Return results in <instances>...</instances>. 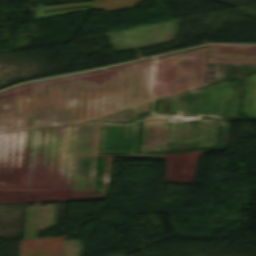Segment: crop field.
Wrapping results in <instances>:
<instances>
[{
  "instance_id": "1",
  "label": "crop field",
  "mask_w": 256,
  "mask_h": 256,
  "mask_svg": "<svg viewBox=\"0 0 256 256\" xmlns=\"http://www.w3.org/2000/svg\"><path fill=\"white\" fill-rule=\"evenodd\" d=\"M214 58H256V46L209 45L9 90L0 94V132L80 122L203 86L206 63L256 64Z\"/></svg>"
},
{
  "instance_id": "2",
  "label": "crop field",
  "mask_w": 256,
  "mask_h": 256,
  "mask_svg": "<svg viewBox=\"0 0 256 256\" xmlns=\"http://www.w3.org/2000/svg\"><path fill=\"white\" fill-rule=\"evenodd\" d=\"M55 205L40 206L38 231L54 225ZM22 240L20 256H63L64 238H43Z\"/></svg>"
},
{
  "instance_id": "3",
  "label": "crop field",
  "mask_w": 256,
  "mask_h": 256,
  "mask_svg": "<svg viewBox=\"0 0 256 256\" xmlns=\"http://www.w3.org/2000/svg\"><path fill=\"white\" fill-rule=\"evenodd\" d=\"M92 3L93 1L76 3V4H68V5H60V6L36 7L35 20L64 15V14H70V13H75L80 11H86L91 8ZM84 6H90V7L43 13V11H48V10H57V9H66V8H75V7H84Z\"/></svg>"
},
{
  "instance_id": "4",
  "label": "crop field",
  "mask_w": 256,
  "mask_h": 256,
  "mask_svg": "<svg viewBox=\"0 0 256 256\" xmlns=\"http://www.w3.org/2000/svg\"><path fill=\"white\" fill-rule=\"evenodd\" d=\"M139 1L143 0H96L91 9L103 8L107 12L137 6Z\"/></svg>"
},
{
  "instance_id": "5",
  "label": "crop field",
  "mask_w": 256,
  "mask_h": 256,
  "mask_svg": "<svg viewBox=\"0 0 256 256\" xmlns=\"http://www.w3.org/2000/svg\"><path fill=\"white\" fill-rule=\"evenodd\" d=\"M82 247L78 240H65L64 256H81Z\"/></svg>"
}]
</instances>
